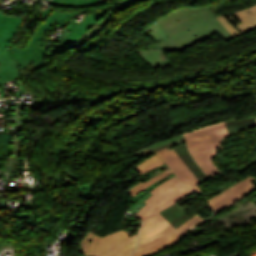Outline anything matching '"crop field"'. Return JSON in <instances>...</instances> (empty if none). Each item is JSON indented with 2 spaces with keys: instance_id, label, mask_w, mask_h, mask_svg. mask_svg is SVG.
Listing matches in <instances>:
<instances>
[{
  "instance_id": "19",
  "label": "crop field",
  "mask_w": 256,
  "mask_h": 256,
  "mask_svg": "<svg viewBox=\"0 0 256 256\" xmlns=\"http://www.w3.org/2000/svg\"><path fill=\"white\" fill-rule=\"evenodd\" d=\"M217 18L233 36L239 34V32L233 27V25L224 16L217 17Z\"/></svg>"
},
{
  "instance_id": "7",
  "label": "crop field",
  "mask_w": 256,
  "mask_h": 256,
  "mask_svg": "<svg viewBox=\"0 0 256 256\" xmlns=\"http://www.w3.org/2000/svg\"><path fill=\"white\" fill-rule=\"evenodd\" d=\"M21 76L19 70L15 68L10 60L6 49L0 47V94L1 98H5V93L2 83L14 82L18 84L22 92H14L16 97H20V93H25L21 82Z\"/></svg>"
},
{
  "instance_id": "5",
  "label": "crop field",
  "mask_w": 256,
  "mask_h": 256,
  "mask_svg": "<svg viewBox=\"0 0 256 256\" xmlns=\"http://www.w3.org/2000/svg\"><path fill=\"white\" fill-rule=\"evenodd\" d=\"M162 160L174 171L178 178L191 189L199 192L201 184L193 172L186 164L178 157L173 149L168 148L156 152Z\"/></svg>"
},
{
  "instance_id": "2",
  "label": "crop field",
  "mask_w": 256,
  "mask_h": 256,
  "mask_svg": "<svg viewBox=\"0 0 256 256\" xmlns=\"http://www.w3.org/2000/svg\"><path fill=\"white\" fill-rule=\"evenodd\" d=\"M108 11L109 10L97 11L86 16L75 28L68 25L66 29L71 31L64 38L63 42L61 44L53 45L54 48H52L50 52H46L47 48L44 46L47 40L44 39V31H49L52 25L58 27L65 25L80 13L54 10L51 15L37 28L26 49L6 48L7 52L17 69L28 68L30 72L33 73L45 66H48V63L43 61L45 53L48 54V59L52 60L54 54L62 53L72 48L73 44L93 25H95L97 21Z\"/></svg>"
},
{
  "instance_id": "14",
  "label": "crop field",
  "mask_w": 256,
  "mask_h": 256,
  "mask_svg": "<svg viewBox=\"0 0 256 256\" xmlns=\"http://www.w3.org/2000/svg\"><path fill=\"white\" fill-rule=\"evenodd\" d=\"M183 141H185V139H184L183 135L180 134V135L175 136L173 138L155 143L151 146H148L144 149H141V150L135 152V154H136L137 157L145 156V155H147L149 153H152L154 151L169 147V146H171L175 143H179V142H183Z\"/></svg>"
},
{
  "instance_id": "20",
  "label": "crop field",
  "mask_w": 256,
  "mask_h": 256,
  "mask_svg": "<svg viewBox=\"0 0 256 256\" xmlns=\"http://www.w3.org/2000/svg\"><path fill=\"white\" fill-rule=\"evenodd\" d=\"M52 11H53V9L49 8V9L47 10V12L43 15V17H42L41 20L44 21V20L49 16V14H50Z\"/></svg>"
},
{
  "instance_id": "10",
  "label": "crop field",
  "mask_w": 256,
  "mask_h": 256,
  "mask_svg": "<svg viewBox=\"0 0 256 256\" xmlns=\"http://www.w3.org/2000/svg\"><path fill=\"white\" fill-rule=\"evenodd\" d=\"M183 209L176 203L159 213L177 229L190 218Z\"/></svg>"
},
{
  "instance_id": "13",
  "label": "crop field",
  "mask_w": 256,
  "mask_h": 256,
  "mask_svg": "<svg viewBox=\"0 0 256 256\" xmlns=\"http://www.w3.org/2000/svg\"><path fill=\"white\" fill-rule=\"evenodd\" d=\"M138 53L147 63L151 64L154 68L164 67L172 64V62L166 58L164 52L140 50Z\"/></svg>"
},
{
  "instance_id": "16",
  "label": "crop field",
  "mask_w": 256,
  "mask_h": 256,
  "mask_svg": "<svg viewBox=\"0 0 256 256\" xmlns=\"http://www.w3.org/2000/svg\"><path fill=\"white\" fill-rule=\"evenodd\" d=\"M162 164L164 162L157 155H154L138 163L133 169L140 175Z\"/></svg>"
},
{
  "instance_id": "3",
  "label": "crop field",
  "mask_w": 256,
  "mask_h": 256,
  "mask_svg": "<svg viewBox=\"0 0 256 256\" xmlns=\"http://www.w3.org/2000/svg\"><path fill=\"white\" fill-rule=\"evenodd\" d=\"M184 135L191 155L210 179H215L214 175L217 174L223 176L211 160L217 149H223L220 144L223 143L222 139L229 137L223 121L189 131Z\"/></svg>"
},
{
  "instance_id": "6",
  "label": "crop field",
  "mask_w": 256,
  "mask_h": 256,
  "mask_svg": "<svg viewBox=\"0 0 256 256\" xmlns=\"http://www.w3.org/2000/svg\"><path fill=\"white\" fill-rule=\"evenodd\" d=\"M254 179L255 178L250 176V177L242 180L241 182L233 185L232 187L224 190L223 192L214 196L212 199L208 200V203L211 205L214 212L220 210L221 208L242 198L250 191L256 189L251 182Z\"/></svg>"
},
{
  "instance_id": "12",
  "label": "crop field",
  "mask_w": 256,
  "mask_h": 256,
  "mask_svg": "<svg viewBox=\"0 0 256 256\" xmlns=\"http://www.w3.org/2000/svg\"><path fill=\"white\" fill-rule=\"evenodd\" d=\"M174 150L179 155V157L187 164V166L195 173L201 183L208 179L189 154L186 144L176 147L174 148Z\"/></svg>"
},
{
  "instance_id": "1",
  "label": "crop field",
  "mask_w": 256,
  "mask_h": 256,
  "mask_svg": "<svg viewBox=\"0 0 256 256\" xmlns=\"http://www.w3.org/2000/svg\"><path fill=\"white\" fill-rule=\"evenodd\" d=\"M147 204L136 214L143 219L139 233L138 247L133 256H149L172 245L197 223L204 219L194 215L177 230L158 212L186 198L193 191L182 185L176 176L168 179L151 191Z\"/></svg>"
},
{
  "instance_id": "17",
  "label": "crop field",
  "mask_w": 256,
  "mask_h": 256,
  "mask_svg": "<svg viewBox=\"0 0 256 256\" xmlns=\"http://www.w3.org/2000/svg\"><path fill=\"white\" fill-rule=\"evenodd\" d=\"M172 174V172L170 170L163 172L153 178H151L150 180H148L147 182H145L144 184H142L141 182L136 184L135 186H133L132 188L129 189L128 193H130L131 195L135 196L136 194H139L142 190H144L145 188H147L148 186H150L151 184H153L154 182L168 176Z\"/></svg>"
},
{
  "instance_id": "15",
  "label": "crop field",
  "mask_w": 256,
  "mask_h": 256,
  "mask_svg": "<svg viewBox=\"0 0 256 256\" xmlns=\"http://www.w3.org/2000/svg\"><path fill=\"white\" fill-rule=\"evenodd\" d=\"M114 9L110 10L105 16H103L98 23L93 26L84 36H82L76 43V46H81L84 42L90 38H92L96 32H98L101 28H103L109 21V17L112 13H114Z\"/></svg>"
},
{
  "instance_id": "18",
  "label": "crop field",
  "mask_w": 256,
  "mask_h": 256,
  "mask_svg": "<svg viewBox=\"0 0 256 256\" xmlns=\"http://www.w3.org/2000/svg\"><path fill=\"white\" fill-rule=\"evenodd\" d=\"M50 4L63 6H93L96 2L95 0H53Z\"/></svg>"
},
{
  "instance_id": "21",
  "label": "crop field",
  "mask_w": 256,
  "mask_h": 256,
  "mask_svg": "<svg viewBox=\"0 0 256 256\" xmlns=\"http://www.w3.org/2000/svg\"><path fill=\"white\" fill-rule=\"evenodd\" d=\"M104 1H107V0H97V4L100 3V2H104Z\"/></svg>"
},
{
  "instance_id": "9",
  "label": "crop field",
  "mask_w": 256,
  "mask_h": 256,
  "mask_svg": "<svg viewBox=\"0 0 256 256\" xmlns=\"http://www.w3.org/2000/svg\"><path fill=\"white\" fill-rule=\"evenodd\" d=\"M22 18H8L0 14V46L9 47L12 36Z\"/></svg>"
},
{
  "instance_id": "11",
  "label": "crop field",
  "mask_w": 256,
  "mask_h": 256,
  "mask_svg": "<svg viewBox=\"0 0 256 256\" xmlns=\"http://www.w3.org/2000/svg\"><path fill=\"white\" fill-rule=\"evenodd\" d=\"M224 123L230 136H233L242 130L256 127L254 115L237 121H235V118L224 120Z\"/></svg>"
},
{
  "instance_id": "4",
  "label": "crop field",
  "mask_w": 256,
  "mask_h": 256,
  "mask_svg": "<svg viewBox=\"0 0 256 256\" xmlns=\"http://www.w3.org/2000/svg\"><path fill=\"white\" fill-rule=\"evenodd\" d=\"M137 234L131 237L123 230L103 238L88 232L81 241L84 256H130L136 247Z\"/></svg>"
},
{
  "instance_id": "8",
  "label": "crop field",
  "mask_w": 256,
  "mask_h": 256,
  "mask_svg": "<svg viewBox=\"0 0 256 256\" xmlns=\"http://www.w3.org/2000/svg\"><path fill=\"white\" fill-rule=\"evenodd\" d=\"M228 16L243 32L256 28V6L228 14Z\"/></svg>"
}]
</instances>
